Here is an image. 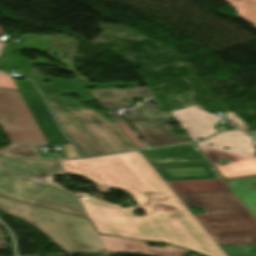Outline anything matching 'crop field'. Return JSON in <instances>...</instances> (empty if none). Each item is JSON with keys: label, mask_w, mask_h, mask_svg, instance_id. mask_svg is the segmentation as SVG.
Instances as JSON below:
<instances>
[{"label": "crop field", "mask_w": 256, "mask_h": 256, "mask_svg": "<svg viewBox=\"0 0 256 256\" xmlns=\"http://www.w3.org/2000/svg\"><path fill=\"white\" fill-rule=\"evenodd\" d=\"M170 113L180 123L193 141H198V138L204 139L217 132L214 126L223 119L219 116L207 113L196 106L172 111Z\"/></svg>", "instance_id": "obj_9"}, {"label": "crop field", "mask_w": 256, "mask_h": 256, "mask_svg": "<svg viewBox=\"0 0 256 256\" xmlns=\"http://www.w3.org/2000/svg\"><path fill=\"white\" fill-rule=\"evenodd\" d=\"M44 96L81 156L137 149L114 120H106L71 98Z\"/></svg>", "instance_id": "obj_3"}, {"label": "crop field", "mask_w": 256, "mask_h": 256, "mask_svg": "<svg viewBox=\"0 0 256 256\" xmlns=\"http://www.w3.org/2000/svg\"><path fill=\"white\" fill-rule=\"evenodd\" d=\"M227 182L256 217V176Z\"/></svg>", "instance_id": "obj_14"}, {"label": "crop field", "mask_w": 256, "mask_h": 256, "mask_svg": "<svg viewBox=\"0 0 256 256\" xmlns=\"http://www.w3.org/2000/svg\"><path fill=\"white\" fill-rule=\"evenodd\" d=\"M20 90H26V91H35L38 92L37 89L33 86V84L30 82V80L22 81V82H16Z\"/></svg>", "instance_id": "obj_22"}, {"label": "crop field", "mask_w": 256, "mask_h": 256, "mask_svg": "<svg viewBox=\"0 0 256 256\" xmlns=\"http://www.w3.org/2000/svg\"><path fill=\"white\" fill-rule=\"evenodd\" d=\"M167 183L187 207L207 211L195 216L219 245H233L222 247L227 254L256 255V220L221 179Z\"/></svg>", "instance_id": "obj_2"}, {"label": "crop field", "mask_w": 256, "mask_h": 256, "mask_svg": "<svg viewBox=\"0 0 256 256\" xmlns=\"http://www.w3.org/2000/svg\"><path fill=\"white\" fill-rule=\"evenodd\" d=\"M2 34H4V32H1V31H0V36H1Z\"/></svg>", "instance_id": "obj_26"}, {"label": "crop field", "mask_w": 256, "mask_h": 256, "mask_svg": "<svg viewBox=\"0 0 256 256\" xmlns=\"http://www.w3.org/2000/svg\"><path fill=\"white\" fill-rule=\"evenodd\" d=\"M99 236L108 254L116 252H139L157 256H181L183 253L189 252L188 250L175 248L167 244L166 248H153L148 247L146 242L142 241H135L100 234Z\"/></svg>", "instance_id": "obj_11"}, {"label": "crop field", "mask_w": 256, "mask_h": 256, "mask_svg": "<svg viewBox=\"0 0 256 256\" xmlns=\"http://www.w3.org/2000/svg\"><path fill=\"white\" fill-rule=\"evenodd\" d=\"M61 162L67 173L98 184L100 191L108 193L110 188L116 187L131 194L146 211L147 216L128 220L119 205L93 196L80 197L98 232L168 242L209 256H227L140 152ZM147 192L163 194L167 199H151ZM156 204L172 206L176 210L165 212L154 207Z\"/></svg>", "instance_id": "obj_1"}, {"label": "crop field", "mask_w": 256, "mask_h": 256, "mask_svg": "<svg viewBox=\"0 0 256 256\" xmlns=\"http://www.w3.org/2000/svg\"><path fill=\"white\" fill-rule=\"evenodd\" d=\"M34 81L42 93L59 94V95L77 94L81 97V100H80L81 102L95 100L91 92L89 90L84 89L82 85L57 83V82L45 84L40 80H34Z\"/></svg>", "instance_id": "obj_15"}, {"label": "crop field", "mask_w": 256, "mask_h": 256, "mask_svg": "<svg viewBox=\"0 0 256 256\" xmlns=\"http://www.w3.org/2000/svg\"><path fill=\"white\" fill-rule=\"evenodd\" d=\"M152 196V198L154 199H163V198H166L165 196L163 195H159V194H154V193H148Z\"/></svg>", "instance_id": "obj_24"}, {"label": "crop field", "mask_w": 256, "mask_h": 256, "mask_svg": "<svg viewBox=\"0 0 256 256\" xmlns=\"http://www.w3.org/2000/svg\"><path fill=\"white\" fill-rule=\"evenodd\" d=\"M227 114V119L237 123L239 127L243 130L249 129V127L241 120L239 116L235 114V112H226Z\"/></svg>", "instance_id": "obj_21"}, {"label": "crop field", "mask_w": 256, "mask_h": 256, "mask_svg": "<svg viewBox=\"0 0 256 256\" xmlns=\"http://www.w3.org/2000/svg\"><path fill=\"white\" fill-rule=\"evenodd\" d=\"M0 122L12 143L2 154L36 157L35 146L49 145L21 92L0 89Z\"/></svg>", "instance_id": "obj_6"}, {"label": "crop field", "mask_w": 256, "mask_h": 256, "mask_svg": "<svg viewBox=\"0 0 256 256\" xmlns=\"http://www.w3.org/2000/svg\"><path fill=\"white\" fill-rule=\"evenodd\" d=\"M238 11V16L256 26V0H227Z\"/></svg>", "instance_id": "obj_17"}, {"label": "crop field", "mask_w": 256, "mask_h": 256, "mask_svg": "<svg viewBox=\"0 0 256 256\" xmlns=\"http://www.w3.org/2000/svg\"><path fill=\"white\" fill-rule=\"evenodd\" d=\"M135 208H140L139 206H136V207H131V208H125L124 211L128 217V219H131V218H135V217H140V216H134L131 209H135ZM144 216V215H143Z\"/></svg>", "instance_id": "obj_23"}, {"label": "crop field", "mask_w": 256, "mask_h": 256, "mask_svg": "<svg viewBox=\"0 0 256 256\" xmlns=\"http://www.w3.org/2000/svg\"><path fill=\"white\" fill-rule=\"evenodd\" d=\"M91 92L95 96L96 100L107 109L131 105L124 102V100L126 99L138 97H153L155 95L154 93V95L152 94L148 87L135 88L133 90L111 88L94 90ZM143 92H148V94H143ZM112 97L114 98L112 99Z\"/></svg>", "instance_id": "obj_13"}, {"label": "crop field", "mask_w": 256, "mask_h": 256, "mask_svg": "<svg viewBox=\"0 0 256 256\" xmlns=\"http://www.w3.org/2000/svg\"><path fill=\"white\" fill-rule=\"evenodd\" d=\"M4 44H5V43L0 42V51H1V49L3 48Z\"/></svg>", "instance_id": "obj_25"}, {"label": "crop field", "mask_w": 256, "mask_h": 256, "mask_svg": "<svg viewBox=\"0 0 256 256\" xmlns=\"http://www.w3.org/2000/svg\"><path fill=\"white\" fill-rule=\"evenodd\" d=\"M27 104L38 121L49 144L70 143L59 130L51 112L46 106L40 94L22 92Z\"/></svg>", "instance_id": "obj_10"}, {"label": "crop field", "mask_w": 256, "mask_h": 256, "mask_svg": "<svg viewBox=\"0 0 256 256\" xmlns=\"http://www.w3.org/2000/svg\"><path fill=\"white\" fill-rule=\"evenodd\" d=\"M31 182H33V178H30Z\"/></svg>", "instance_id": "obj_27"}, {"label": "crop field", "mask_w": 256, "mask_h": 256, "mask_svg": "<svg viewBox=\"0 0 256 256\" xmlns=\"http://www.w3.org/2000/svg\"><path fill=\"white\" fill-rule=\"evenodd\" d=\"M156 106L142 104L133 109L135 116L125 119L142 137L149 147L186 143L187 136L174 133L166 122H171V114L168 111L160 112L156 107L162 106L161 102Z\"/></svg>", "instance_id": "obj_8"}, {"label": "crop field", "mask_w": 256, "mask_h": 256, "mask_svg": "<svg viewBox=\"0 0 256 256\" xmlns=\"http://www.w3.org/2000/svg\"><path fill=\"white\" fill-rule=\"evenodd\" d=\"M6 45L4 51L0 55V69L8 74L14 73L16 68L22 69V77H27L28 59L20 56V52L24 47ZM18 53L15 55V51Z\"/></svg>", "instance_id": "obj_16"}, {"label": "crop field", "mask_w": 256, "mask_h": 256, "mask_svg": "<svg viewBox=\"0 0 256 256\" xmlns=\"http://www.w3.org/2000/svg\"><path fill=\"white\" fill-rule=\"evenodd\" d=\"M255 143H256V140H255Z\"/></svg>", "instance_id": "obj_28"}, {"label": "crop field", "mask_w": 256, "mask_h": 256, "mask_svg": "<svg viewBox=\"0 0 256 256\" xmlns=\"http://www.w3.org/2000/svg\"><path fill=\"white\" fill-rule=\"evenodd\" d=\"M196 145L225 179L256 174L255 145L242 131H223Z\"/></svg>", "instance_id": "obj_7"}, {"label": "crop field", "mask_w": 256, "mask_h": 256, "mask_svg": "<svg viewBox=\"0 0 256 256\" xmlns=\"http://www.w3.org/2000/svg\"><path fill=\"white\" fill-rule=\"evenodd\" d=\"M0 210L36 226L69 253L107 254L89 220L2 197Z\"/></svg>", "instance_id": "obj_5"}, {"label": "crop field", "mask_w": 256, "mask_h": 256, "mask_svg": "<svg viewBox=\"0 0 256 256\" xmlns=\"http://www.w3.org/2000/svg\"><path fill=\"white\" fill-rule=\"evenodd\" d=\"M32 64H37V65H48V66H60L59 69H63L66 71L72 72L70 69L63 67L61 65H51L47 59H41L37 58L36 61L29 60V73H34V75H29V78H34V79H40V80H47V81H57V82H67V83H77L81 84L78 79L74 80H66V79H60V78H51L49 76H42V75H36L35 69H32Z\"/></svg>", "instance_id": "obj_18"}, {"label": "crop field", "mask_w": 256, "mask_h": 256, "mask_svg": "<svg viewBox=\"0 0 256 256\" xmlns=\"http://www.w3.org/2000/svg\"><path fill=\"white\" fill-rule=\"evenodd\" d=\"M116 123L120 126V128L124 131L127 137L131 140V142L138 148H146L144 143L139 139V137L134 133V131L126 124L123 118L116 119Z\"/></svg>", "instance_id": "obj_19"}, {"label": "crop field", "mask_w": 256, "mask_h": 256, "mask_svg": "<svg viewBox=\"0 0 256 256\" xmlns=\"http://www.w3.org/2000/svg\"><path fill=\"white\" fill-rule=\"evenodd\" d=\"M151 164L206 162L190 144L141 151Z\"/></svg>", "instance_id": "obj_12"}, {"label": "crop field", "mask_w": 256, "mask_h": 256, "mask_svg": "<svg viewBox=\"0 0 256 256\" xmlns=\"http://www.w3.org/2000/svg\"><path fill=\"white\" fill-rule=\"evenodd\" d=\"M61 172L58 161L0 157V196L88 217L75 194L29 180L40 173Z\"/></svg>", "instance_id": "obj_4"}, {"label": "crop field", "mask_w": 256, "mask_h": 256, "mask_svg": "<svg viewBox=\"0 0 256 256\" xmlns=\"http://www.w3.org/2000/svg\"><path fill=\"white\" fill-rule=\"evenodd\" d=\"M0 88L16 89L18 90L12 77L0 72Z\"/></svg>", "instance_id": "obj_20"}]
</instances>
